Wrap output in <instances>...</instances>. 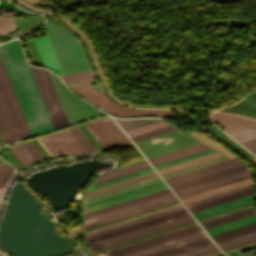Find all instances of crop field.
Segmentation results:
<instances>
[{
    "label": "crop field",
    "mask_w": 256,
    "mask_h": 256,
    "mask_svg": "<svg viewBox=\"0 0 256 256\" xmlns=\"http://www.w3.org/2000/svg\"><path fill=\"white\" fill-rule=\"evenodd\" d=\"M254 186H255V183L251 184V185L241 187V188H238V189H234V190H231V191H228V192H224V193H221V194H218V195H215V196H211V197H208V198H205V199H202V200H198V201H195V202H192V203H188V204H185V206L188 207V206H191V205H195V204H198V203H201V202H205V201H208V200H211V199H214V198H218V197L228 195V194H231V193H234V192H237V191H241V190H244V189H247V188H251V187H254Z\"/></svg>",
    "instance_id": "e1f06a70"
},
{
    "label": "crop field",
    "mask_w": 256,
    "mask_h": 256,
    "mask_svg": "<svg viewBox=\"0 0 256 256\" xmlns=\"http://www.w3.org/2000/svg\"><path fill=\"white\" fill-rule=\"evenodd\" d=\"M251 183H254V180L249 181V182H245V183H242V184H239V185H236V186H232V187H229V188H226V189H222V190H219V191H216V192H213V193H209V194H206V195H203V196H200V197H196V198H193V199H190V200L183 201V204L188 203V202H192V201H195V200H198V199H201V198H205V197H208V196H211V195H215V194H218V193H221V192H224V191H228V190H231V189H234V188H237V187H241V186H244V185H247V184H251Z\"/></svg>",
    "instance_id": "c21b1889"
},
{
    "label": "crop field",
    "mask_w": 256,
    "mask_h": 256,
    "mask_svg": "<svg viewBox=\"0 0 256 256\" xmlns=\"http://www.w3.org/2000/svg\"><path fill=\"white\" fill-rule=\"evenodd\" d=\"M174 200H177V198L174 197V198H171V199H168V200H164V201H161V202H158V203L149 205V206H145V207H142V208H139V209L130 211V212H126V213H123V214H120V215H117V216H114V217H110V218H107V219H104V220H101V221H98V222H95V223H91V224L85 225V226H84V229H85V228H88V227H91V226H94V225H97V224H100V223H103V222H106V221H110V220H113V219L122 217V216L129 215V214H132V213H135V212H138V211H142V210H145V209L154 207V206H158V205H161V204L170 202V201H174Z\"/></svg>",
    "instance_id": "1d83c4d3"
},
{
    "label": "crop field",
    "mask_w": 256,
    "mask_h": 256,
    "mask_svg": "<svg viewBox=\"0 0 256 256\" xmlns=\"http://www.w3.org/2000/svg\"><path fill=\"white\" fill-rule=\"evenodd\" d=\"M147 168H150V165L148 164V162L146 160H144V161H141V162H138L135 164H131V165H128V166H125V167H122V168H119V169H116V170H113L110 172H106V173L100 175L98 177V179L95 182H93L91 185L98 184V183H101V182H104L107 180H111V179H114L117 177H121V176L130 174V173H134V172L143 170V169H147Z\"/></svg>",
    "instance_id": "5142ce71"
},
{
    "label": "crop field",
    "mask_w": 256,
    "mask_h": 256,
    "mask_svg": "<svg viewBox=\"0 0 256 256\" xmlns=\"http://www.w3.org/2000/svg\"><path fill=\"white\" fill-rule=\"evenodd\" d=\"M212 248H215L214 244L208 245V246H205V247H202V248H198V249H195V250H192V251H188V252H185V253H182V254H178V255H175V256H188V255H192V254L202 252V251L212 249Z\"/></svg>",
    "instance_id": "b54c1fbb"
},
{
    "label": "crop field",
    "mask_w": 256,
    "mask_h": 256,
    "mask_svg": "<svg viewBox=\"0 0 256 256\" xmlns=\"http://www.w3.org/2000/svg\"><path fill=\"white\" fill-rule=\"evenodd\" d=\"M2 191H3V189H0V198H1Z\"/></svg>",
    "instance_id": "dbb93151"
},
{
    "label": "crop field",
    "mask_w": 256,
    "mask_h": 256,
    "mask_svg": "<svg viewBox=\"0 0 256 256\" xmlns=\"http://www.w3.org/2000/svg\"><path fill=\"white\" fill-rule=\"evenodd\" d=\"M53 156L85 153V149L69 129L41 137Z\"/></svg>",
    "instance_id": "d8731c3e"
},
{
    "label": "crop field",
    "mask_w": 256,
    "mask_h": 256,
    "mask_svg": "<svg viewBox=\"0 0 256 256\" xmlns=\"http://www.w3.org/2000/svg\"><path fill=\"white\" fill-rule=\"evenodd\" d=\"M190 220H193V218L190 214H188V215L181 216L172 220H168L159 224H155L146 228H142L136 231H132L123 235H119L110 239H106L97 243L90 244V247L93 249V251H95L112 244H116L128 239H132L141 235H145V234H148L157 230H161L170 226H174Z\"/></svg>",
    "instance_id": "5a996713"
},
{
    "label": "crop field",
    "mask_w": 256,
    "mask_h": 256,
    "mask_svg": "<svg viewBox=\"0 0 256 256\" xmlns=\"http://www.w3.org/2000/svg\"><path fill=\"white\" fill-rule=\"evenodd\" d=\"M0 256H3V255H0Z\"/></svg>",
    "instance_id": "0fb4a251"
},
{
    "label": "crop field",
    "mask_w": 256,
    "mask_h": 256,
    "mask_svg": "<svg viewBox=\"0 0 256 256\" xmlns=\"http://www.w3.org/2000/svg\"><path fill=\"white\" fill-rule=\"evenodd\" d=\"M164 188H167L165 183L160 184V185H156V186H153V187H150V188H146V189H143V190H140V191H137V192H133V193H130V194H127V195H123V196H120V197H117V198H114V199H110V200H107V201H104V202H101V203H97V204H94V205H91V206H87V207L83 208V214L87 213V212H90V211H94V210L103 208V207H106V206H110V205L119 203V202H122V201H125V200H129V199L141 196V195H145V194L157 191V190H161V189H164Z\"/></svg>",
    "instance_id": "cbeb9de0"
},
{
    "label": "crop field",
    "mask_w": 256,
    "mask_h": 256,
    "mask_svg": "<svg viewBox=\"0 0 256 256\" xmlns=\"http://www.w3.org/2000/svg\"><path fill=\"white\" fill-rule=\"evenodd\" d=\"M210 118L221 125L239 143L256 138V121L216 113Z\"/></svg>",
    "instance_id": "e52e79f7"
},
{
    "label": "crop field",
    "mask_w": 256,
    "mask_h": 256,
    "mask_svg": "<svg viewBox=\"0 0 256 256\" xmlns=\"http://www.w3.org/2000/svg\"><path fill=\"white\" fill-rule=\"evenodd\" d=\"M153 176H157L155 171L149 172V173H146V174H143V175H139V176H136V177H132V178H129V179H126V180H122V181H119V182H116V183H112V184H109V185H106V186L88 191L86 193L85 197H88V196H91V195H94V194H97V193H101V192H104V191H107V190H110V189H113V188H116V187H120V186H123V185H126V184L137 182V181H140V180H143V179H147V178H150V177H153Z\"/></svg>",
    "instance_id": "92a150f3"
},
{
    "label": "crop field",
    "mask_w": 256,
    "mask_h": 256,
    "mask_svg": "<svg viewBox=\"0 0 256 256\" xmlns=\"http://www.w3.org/2000/svg\"><path fill=\"white\" fill-rule=\"evenodd\" d=\"M255 239H256V230L246 234L236 236V237H232L223 241L216 242V244L220 247L221 250H223V249L230 248V247H233L242 243H246Z\"/></svg>",
    "instance_id": "a9b5d70f"
},
{
    "label": "crop field",
    "mask_w": 256,
    "mask_h": 256,
    "mask_svg": "<svg viewBox=\"0 0 256 256\" xmlns=\"http://www.w3.org/2000/svg\"><path fill=\"white\" fill-rule=\"evenodd\" d=\"M115 119V118H114ZM123 131L135 128L160 119H115Z\"/></svg>",
    "instance_id": "d3111659"
},
{
    "label": "crop field",
    "mask_w": 256,
    "mask_h": 256,
    "mask_svg": "<svg viewBox=\"0 0 256 256\" xmlns=\"http://www.w3.org/2000/svg\"><path fill=\"white\" fill-rule=\"evenodd\" d=\"M12 173L13 170L7 163L0 165V188L6 186Z\"/></svg>",
    "instance_id": "5866460e"
},
{
    "label": "crop field",
    "mask_w": 256,
    "mask_h": 256,
    "mask_svg": "<svg viewBox=\"0 0 256 256\" xmlns=\"http://www.w3.org/2000/svg\"><path fill=\"white\" fill-rule=\"evenodd\" d=\"M0 54L31 135L68 125L48 72L29 65L52 128L19 41L0 45Z\"/></svg>",
    "instance_id": "8a807250"
},
{
    "label": "crop field",
    "mask_w": 256,
    "mask_h": 256,
    "mask_svg": "<svg viewBox=\"0 0 256 256\" xmlns=\"http://www.w3.org/2000/svg\"><path fill=\"white\" fill-rule=\"evenodd\" d=\"M246 174H249L248 169L244 170V171L234 173V174H231V175H227V176H224V177H221V178H218V179H214V180H211V181H208V182H204V183H201V184H198V185H195V186H191V187H188V188H185V189H182V190H178V191H175V193H176L177 196H179V195H182V194H185V193H189V192H192V191L204 188V187H208V186L220 183V182H224V181H227V180L239 177V176H243V175H246Z\"/></svg>",
    "instance_id": "00972430"
},
{
    "label": "crop field",
    "mask_w": 256,
    "mask_h": 256,
    "mask_svg": "<svg viewBox=\"0 0 256 256\" xmlns=\"http://www.w3.org/2000/svg\"><path fill=\"white\" fill-rule=\"evenodd\" d=\"M216 252H219V250L217 248L212 249V250H208V251H205V252H202V253H199V254H195V255H192V256H206V255L216 253Z\"/></svg>",
    "instance_id": "89e229c0"
},
{
    "label": "crop field",
    "mask_w": 256,
    "mask_h": 256,
    "mask_svg": "<svg viewBox=\"0 0 256 256\" xmlns=\"http://www.w3.org/2000/svg\"><path fill=\"white\" fill-rule=\"evenodd\" d=\"M74 92L83 96L87 100L96 104L105 111L118 115V116H164L170 117L172 112L170 111H138L128 108H122L115 105L111 100L105 97L102 93L91 87L90 84L72 87Z\"/></svg>",
    "instance_id": "f4fd0767"
},
{
    "label": "crop field",
    "mask_w": 256,
    "mask_h": 256,
    "mask_svg": "<svg viewBox=\"0 0 256 256\" xmlns=\"http://www.w3.org/2000/svg\"><path fill=\"white\" fill-rule=\"evenodd\" d=\"M173 129H176V128L169 125V126H166V127H163V128H159V129L141 134V135L131 137V139H132L133 142H135V141H138V140H141V139H144V138H148V137H151V136H154V135L166 132V131H170V130H173Z\"/></svg>",
    "instance_id": "028f5c9d"
},
{
    "label": "crop field",
    "mask_w": 256,
    "mask_h": 256,
    "mask_svg": "<svg viewBox=\"0 0 256 256\" xmlns=\"http://www.w3.org/2000/svg\"><path fill=\"white\" fill-rule=\"evenodd\" d=\"M17 29L13 17L0 16V33H9Z\"/></svg>",
    "instance_id": "d32e631a"
},
{
    "label": "crop field",
    "mask_w": 256,
    "mask_h": 256,
    "mask_svg": "<svg viewBox=\"0 0 256 256\" xmlns=\"http://www.w3.org/2000/svg\"><path fill=\"white\" fill-rule=\"evenodd\" d=\"M254 201H255V194L251 195V196L241 198V199H238V200H234V201H231V202H228V203H225V204H221V205H218V206H215V207H212V208H208V209H205V210H202V211H199V212H195V213H192V215L196 219H198V218L205 217V216H208V215H211V214H215V213H218V212H221V211H224V210H228V209H231V208H234V207H237V206H241V205H244V204H247V203H251V202H254Z\"/></svg>",
    "instance_id": "733c2abd"
},
{
    "label": "crop field",
    "mask_w": 256,
    "mask_h": 256,
    "mask_svg": "<svg viewBox=\"0 0 256 256\" xmlns=\"http://www.w3.org/2000/svg\"><path fill=\"white\" fill-rule=\"evenodd\" d=\"M103 149L129 141L111 117L84 124Z\"/></svg>",
    "instance_id": "dd49c442"
},
{
    "label": "crop field",
    "mask_w": 256,
    "mask_h": 256,
    "mask_svg": "<svg viewBox=\"0 0 256 256\" xmlns=\"http://www.w3.org/2000/svg\"><path fill=\"white\" fill-rule=\"evenodd\" d=\"M256 222V214L206 229L209 236Z\"/></svg>",
    "instance_id": "214f88e0"
},
{
    "label": "crop field",
    "mask_w": 256,
    "mask_h": 256,
    "mask_svg": "<svg viewBox=\"0 0 256 256\" xmlns=\"http://www.w3.org/2000/svg\"><path fill=\"white\" fill-rule=\"evenodd\" d=\"M181 205H182L181 202L176 203V204H172V205H169V206H166V207H163V208H159V209H156V210H153V211H150V212H146V213L134 216V217H130V218H127V219H124V220H121V221H117V222H114V223H111V224H108V225H104V226H101V227H98V228H95V229H92V230L85 231L84 234L86 235V234H89V233H92V232H95V231H99V230H102V229H105V228H108V227H111V226H114V225H118V224H121V223H124V222H128V221H131V220H134V219H138V218H141V217H144V216H148V215L158 213V212H161V211H164V210H168V209H171V208H174V207H178V206H181Z\"/></svg>",
    "instance_id": "4177f3b9"
},
{
    "label": "crop field",
    "mask_w": 256,
    "mask_h": 256,
    "mask_svg": "<svg viewBox=\"0 0 256 256\" xmlns=\"http://www.w3.org/2000/svg\"><path fill=\"white\" fill-rule=\"evenodd\" d=\"M60 77L62 78V80L65 83L95 78L92 70L78 72V73H72V74H67V75H61Z\"/></svg>",
    "instance_id": "bd1437ed"
},
{
    "label": "crop field",
    "mask_w": 256,
    "mask_h": 256,
    "mask_svg": "<svg viewBox=\"0 0 256 256\" xmlns=\"http://www.w3.org/2000/svg\"><path fill=\"white\" fill-rule=\"evenodd\" d=\"M23 145L35 161L44 158L43 154L38 150V148L33 144L32 141L25 142L23 143Z\"/></svg>",
    "instance_id": "0bd39190"
},
{
    "label": "crop field",
    "mask_w": 256,
    "mask_h": 256,
    "mask_svg": "<svg viewBox=\"0 0 256 256\" xmlns=\"http://www.w3.org/2000/svg\"><path fill=\"white\" fill-rule=\"evenodd\" d=\"M252 179L253 178L248 179V180H244V181H241V182H238V183H234V184H231V185H228V186H224V187H221V188H218V189H214V190H211V191H208V192H204V193H201V194H198V195H194V196H191V197H188V198H184V199H181V201L186 200V199H190V198H193V197H196V196H199V195H203V194H206V193H209V192H213V191H216V190H219V189H222V188H226V187H229V186H232V185H235V184H239V183H242V182H245V181H249V180H252Z\"/></svg>",
    "instance_id": "25e5ab78"
},
{
    "label": "crop field",
    "mask_w": 256,
    "mask_h": 256,
    "mask_svg": "<svg viewBox=\"0 0 256 256\" xmlns=\"http://www.w3.org/2000/svg\"><path fill=\"white\" fill-rule=\"evenodd\" d=\"M171 197H174L173 193L168 194V195H164V196H161V197H158V198H154V199H151V200H148V201H144V202H141V203H138V204H134V205H131V206H128V207H124V208H121V209H118V210H114V211H111V212H108V213H104V214H101V215H98V216H94V217H91V218H88V219H84L83 223L85 225V224H88V223H91V222H95V221H98V220H101V219H104V218H107V217H110V216H114V215L129 211V210H133V209H136V208H139V207H142V206H145V205H149V204H152V203L164 200V199H168V198H171Z\"/></svg>",
    "instance_id": "4a817a6b"
},
{
    "label": "crop field",
    "mask_w": 256,
    "mask_h": 256,
    "mask_svg": "<svg viewBox=\"0 0 256 256\" xmlns=\"http://www.w3.org/2000/svg\"><path fill=\"white\" fill-rule=\"evenodd\" d=\"M217 156H220V155L218 153L214 152V153H211V154H208V155H205V156H201V157H198V158L186 161V162H182V163L175 164V165H172V166H169V167L158 169L157 171H158L159 174H161V173H165V172H168V171L183 168V167H186V166H190V165H193V164H196V163H199V162H202V161H205V160L217 157Z\"/></svg>",
    "instance_id": "730fd06b"
},
{
    "label": "crop field",
    "mask_w": 256,
    "mask_h": 256,
    "mask_svg": "<svg viewBox=\"0 0 256 256\" xmlns=\"http://www.w3.org/2000/svg\"><path fill=\"white\" fill-rule=\"evenodd\" d=\"M46 37H40L38 39H34V43L39 51V54L45 64V66L53 69L58 74L63 73L56 57L55 51L51 44L50 38L45 32Z\"/></svg>",
    "instance_id": "d1516ede"
},
{
    "label": "crop field",
    "mask_w": 256,
    "mask_h": 256,
    "mask_svg": "<svg viewBox=\"0 0 256 256\" xmlns=\"http://www.w3.org/2000/svg\"><path fill=\"white\" fill-rule=\"evenodd\" d=\"M246 168H247V166L243 165V166L236 167V168H233V169H230V170H227V171H223V172H220V173H217V174H214V175H210V176H207V177H204V178H200V179H197V180H194V181H191V182H187V183H184V184H181V185H178V186H174V187H171V189L173 191H175V190H178V189H182V188L194 185V184H198V183H201V182H204V181H207V180H210V179H214V178H217V177H220V176H223V175H227V174H230V173H233V172H236V171H239V170H243V169H246Z\"/></svg>",
    "instance_id": "eef30255"
},
{
    "label": "crop field",
    "mask_w": 256,
    "mask_h": 256,
    "mask_svg": "<svg viewBox=\"0 0 256 256\" xmlns=\"http://www.w3.org/2000/svg\"><path fill=\"white\" fill-rule=\"evenodd\" d=\"M176 202H179V200L174 201V202H171V203H167V204H164V205H161V206L155 207V208H151V209H148V210H145V211L139 212V213H135V214H132V215H129V216L123 217V218H119V219H116V220H113V221H110V222H107V223H103V224H100V225H97V226H94V227H91V228H95V227H98V226H101V225H104V224H108V223H111V222H114V221H117V220H121V219H124V218L130 217V216H134V215H137V214H140V213H143V212H146V211H150V210H153V209H156V208H159V207H163V206H166V205H169V204H172V203H176ZM91 228H88V229H91ZM88 229H85V230H88ZM85 230H84V231H85Z\"/></svg>",
    "instance_id": "d23c7cc5"
},
{
    "label": "crop field",
    "mask_w": 256,
    "mask_h": 256,
    "mask_svg": "<svg viewBox=\"0 0 256 256\" xmlns=\"http://www.w3.org/2000/svg\"><path fill=\"white\" fill-rule=\"evenodd\" d=\"M88 81H91V80L81 81V82H75V83H69V84H67V85H70V84H76V83H82V82H88Z\"/></svg>",
    "instance_id": "1f2cbd36"
},
{
    "label": "crop field",
    "mask_w": 256,
    "mask_h": 256,
    "mask_svg": "<svg viewBox=\"0 0 256 256\" xmlns=\"http://www.w3.org/2000/svg\"><path fill=\"white\" fill-rule=\"evenodd\" d=\"M206 149H209V148L206 147L205 145L199 143V144H196V145H193V146L181 149V150H177V151H174V152H171V153L159 156V157L149 159L148 161L153 166H155V165L165 163V162H168V161L180 158V157H184V156H187V155L199 152V151L206 150Z\"/></svg>",
    "instance_id": "d9b57169"
},
{
    "label": "crop field",
    "mask_w": 256,
    "mask_h": 256,
    "mask_svg": "<svg viewBox=\"0 0 256 256\" xmlns=\"http://www.w3.org/2000/svg\"><path fill=\"white\" fill-rule=\"evenodd\" d=\"M18 148L21 150V152L25 155V157L28 159L29 162H33V158L30 156V154L26 151V149L23 147L22 144L17 145Z\"/></svg>",
    "instance_id": "73cf0c24"
},
{
    "label": "crop field",
    "mask_w": 256,
    "mask_h": 256,
    "mask_svg": "<svg viewBox=\"0 0 256 256\" xmlns=\"http://www.w3.org/2000/svg\"><path fill=\"white\" fill-rule=\"evenodd\" d=\"M185 214H188L186 209L180 210V211L170 213V214H167V215H164V216H160V217H157V218H154V219H150V220L143 221V222H140V223H137V224H133V225H130V226H127V227H123V228H120V229H117V230H113V231H110V232H107V233H104V234L86 239V241H87L88 244H90V243H93V242H97V241H100V240H103V239H106V238H110V237H113V236H116V235H119V234H123V233L129 232V231H132V230H136V229H139V228H142V227H146V226H149V225H152V224H155V223H159V222H162V221H165V220H168V219H172V218H175V217H178V216H181V215H185Z\"/></svg>",
    "instance_id": "28ad6ade"
},
{
    "label": "crop field",
    "mask_w": 256,
    "mask_h": 256,
    "mask_svg": "<svg viewBox=\"0 0 256 256\" xmlns=\"http://www.w3.org/2000/svg\"><path fill=\"white\" fill-rule=\"evenodd\" d=\"M189 135L194 137L195 139L201 141L202 143L208 145L209 147L215 149L216 151L222 153L223 155L229 157V158H234L235 157L234 154L230 153L229 151L224 149L222 146H220L216 142L210 140L209 138H207V137H205V136H203V135H201L197 132L189 133Z\"/></svg>",
    "instance_id": "ae1a2a85"
},
{
    "label": "crop field",
    "mask_w": 256,
    "mask_h": 256,
    "mask_svg": "<svg viewBox=\"0 0 256 256\" xmlns=\"http://www.w3.org/2000/svg\"><path fill=\"white\" fill-rule=\"evenodd\" d=\"M70 130L79 140V142L83 145V147L87 150L88 153L94 152L93 148L89 145V143L85 140V138L81 135V133L77 130L76 127L70 128Z\"/></svg>",
    "instance_id": "c035e120"
},
{
    "label": "crop field",
    "mask_w": 256,
    "mask_h": 256,
    "mask_svg": "<svg viewBox=\"0 0 256 256\" xmlns=\"http://www.w3.org/2000/svg\"><path fill=\"white\" fill-rule=\"evenodd\" d=\"M180 209H184V207L181 206V207L174 208V209H171V210H168V211H164V212H161V213H158V214H154V215H151V216H148V217H144V218H141V219H138V220H134V221H131V222H128V223H124V224H121V225H118V226H114V227H111V228H108V229H105V230H102V231H99V232H95V233L86 235L85 239L89 238V237H92V236H95V235H98V234H101V233H104V232H107V231H110V230H113V229H117V228L127 226V225H130V224H133V223H137V222H140V221H143V220L154 218V217L164 215V214H167V213H170V212H174V211H177V210H180Z\"/></svg>",
    "instance_id": "750c4746"
},
{
    "label": "crop field",
    "mask_w": 256,
    "mask_h": 256,
    "mask_svg": "<svg viewBox=\"0 0 256 256\" xmlns=\"http://www.w3.org/2000/svg\"><path fill=\"white\" fill-rule=\"evenodd\" d=\"M167 193H171L169 188L161 190V191H157V192L145 195V196H141V197H138V198L126 201V202H122V203H119V204H116V205H113V206H110V207H106V208H103V209H100V210H97V211H94V212L84 214L83 219L87 218V217L97 215V214H101V213H104V212H107V211H111V210H114V209H117V208H121V207H124V206H127V205H131V204H134V203H137V202H141V201H144V200H147V199H151V198H154V197H157V196H161V195H164V194H167Z\"/></svg>",
    "instance_id": "bc2a9ffb"
},
{
    "label": "crop field",
    "mask_w": 256,
    "mask_h": 256,
    "mask_svg": "<svg viewBox=\"0 0 256 256\" xmlns=\"http://www.w3.org/2000/svg\"><path fill=\"white\" fill-rule=\"evenodd\" d=\"M245 148H247L250 152L256 155V139L241 143Z\"/></svg>",
    "instance_id": "5d738f31"
},
{
    "label": "crop field",
    "mask_w": 256,
    "mask_h": 256,
    "mask_svg": "<svg viewBox=\"0 0 256 256\" xmlns=\"http://www.w3.org/2000/svg\"><path fill=\"white\" fill-rule=\"evenodd\" d=\"M252 193H253V188L242 191V192H238V193H235V194H232V195H228V196H225V197H222V198H218V199H215V200H212V201H208V202H205V203H202V204H198V205H195V206H192V207H188V210L190 211V213H192V212L202 210V209H205V208H208V207L220 204V203H224V202H227V201H230V200L242 197V196H246V195H249V194H252Z\"/></svg>",
    "instance_id": "dafd665d"
},
{
    "label": "crop field",
    "mask_w": 256,
    "mask_h": 256,
    "mask_svg": "<svg viewBox=\"0 0 256 256\" xmlns=\"http://www.w3.org/2000/svg\"><path fill=\"white\" fill-rule=\"evenodd\" d=\"M45 27L64 73L91 68L77 38L58 23L47 21Z\"/></svg>",
    "instance_id": "34b2d1b8"
},
{
    "label": "crop field",
    "mask_w": 256,
    "mask_h": 256,
    "mask_svg": "<svg viewBox=\"0 0 256 256\" xmlns=\"http://www.w3.org/2000/svg\"><path fill=\"white\" fill-rule=\"evenodd\" d=\"M10 151L15 155V157L20 161L22 165L28 163L27 159L20 152L16 145L9 147Z\"/></svg>",
    "instance_id": "03da06ac"
},
{
    "label": "crop field",
    "mask_w": 256,
    "mask_h": 256,
    "mask_svg": "<svg viewBox=\"0 0 256 256\" xmlns=\"http://www.w3.org/2000/svg\"><path fill=\"white\" fill-rule=\"evenodd\" d=\"M243 165V162L239 159H231L224 162H220L211 166H207L198 170H194L185 174H181L172 178L165 179V182L169 187L178 185L187 181H191L200 177H204L210 174H214L223 170H227L236 166Z\"/></svg>",
    "instance_id": "3316defc"
},
{
    "label": "crop field",
    "mask_w": 256,
    "mask_h": 256,
    "mask_svg": "<svg viewBox=\"0 0 256 256\" xmlns=\"http://www.w3.org/2000/svg\"><path fill=\"white\" fill-rule=\"evenodd\" d=\"M166 125H169V124L160 120V121H157V122L145 125V126H141V127L126 131V133L129 137H131V136L141 134V133H144V132H147V131H150V130H153V129H156L159 127L166 126Z\"/></svg>",
    "instance_id": "120bbe31"
},
{
    "label": "crop field",
    "mask_w": 256,
    "mask_h": 256,
    "mask_svg": "<svg viewBox=\"0 0 256 256\" xmlns=\"http://www.w3.org/2000/svg\"><path fill=\"white\" fill-rule=\"evenodd\" d=\"M204 237H207V235L203 231H201V232H198V233H194V234H191V235H188V236H184V237H181V238H178V239H175V240H171V241H168V242H165V243H161V244H158V245H155V246H152V247H148V248H145V249H142V250H139V251H135V252H132V253H129V254H125V255H122V256H144V255H147V254H150V253H154V252H157V251H160V250H164V249H167V248H170V247H174V246L184 244V243L194 241V240L204 238Z\"/></svg>",
    "instance_id": "22f410ed"
},
{
    "label": "crop field",
    "mask_w": 256,
    "mask_h": 256,
    "mask_svg": "<svg viewBox=\"0 0 256 256\" xmlns=\"http://www.w3.org/2000/svg\"><path fill=\"white\" fill-rule=\"evenodd\" d=\"M0 133L5 144L31 136L1 58Z\"/></svg>",
    "instance_id": "ac0d7876"
},
{
    "label": "crop field",
    "mask_w": 256,
    "mask_h": 256,
    "mask_svg": "<svg viewBox=\"0 0 256 256\" xmlns=\"http://www.w3.org/2000/svg\"><path fill=\"white\" fill-rule=\"evenodd\" d=\"M81 129L85 132V134L89 137V139L93 142V144L97 147L98 150H101V146L97 143V141L93 138V136L89 133V131L85 128L84 125L80 126Z\"/></svg>",
    "instance_id": "425ffa30"
},
{
    "label": "crop field",
    "mask_w": 256,
    "mask_h": 256,
    "mask_svg": "<svg viewBox=\"0 0 256 256\" xmlns=\"http://www.w3.org/2000/svg\"><path fill=\"white\" fill-rule=\"evenodd\" d=\"M196 143L199 142L178 129L135 142L147 159Z\"/></svg>",
    "instance_id": "412701ff"
},
{
    "label": "crop field",
    "mask_w": 256,
    "mask_h": 256,
    "mask_svg": "<svg viewBox=\"0 0 256 256\" xmlns=\"http://www.w3.org/2000/svg\"><path fill=\"white\" fill-rule=\"evenodd\" d=\"M247 178H250V175L245 176V177H241V178H238V179H235V180H231V181H228V182H225V183H222V184H218V185H215V186H212V187H209V188H205V189H202V190H199V191H195V192H192V193H189V194H186V195L179 196V199L184 198V197H188V196H191V195H194V194H198V193H201V192H204V191H207V190H211V189H214V188H217V187H220V186H224V185H227V184H230V183H234V182H237V181H240V180H243V179H247Z\"/></svg>",
    "instance_id": "b80d0937"
}]
</instances>
